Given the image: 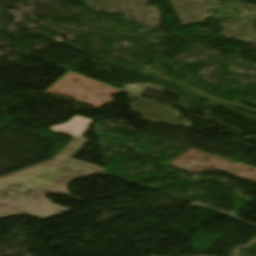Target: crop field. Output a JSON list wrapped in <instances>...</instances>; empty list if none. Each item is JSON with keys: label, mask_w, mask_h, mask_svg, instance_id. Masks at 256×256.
<instances>
[{"label": "crop field", "mask_w": 256, "mask_h": 256, "mask_svg": "<svg viewBox=\"0 0 256 256\" xmlns=\"http://www.w3.org/2000/svg\"><path fill=\"white\" fill-rule=\"evenodd\" d=\"M87 130L76 139L59 160L0 180V218L25 214L47 219L71 210L56 206L43 196L46 192H50L72 197L66 191L65 185L68 181L87 174H105L103 168L72 159L88 142L82 138ZM23 183L30 184V187L24 190L15 188ZM32 189L34 191L27 195L26 193Z\"/></svg>", "instance_id": "crop-field-1"}, {"label": "crop field", "mask_w": 256, "mask_h": 256, "mask_svg": "<svg viewBox=\"0 0 256 256\" xmlns=\"http://www.w3.org/2000/svg\"><path fill=\"white\" fill-rule=\"evenodd\" d=\"M90 122L91 120L76 116L68 123L66 122L67 124L53 126L49 130L76 138Z\"/></svg>", "instance_id": "crop-field-2"}]
</instances>
